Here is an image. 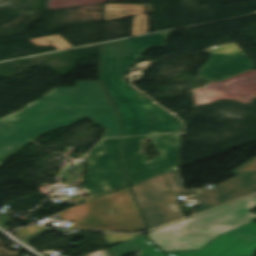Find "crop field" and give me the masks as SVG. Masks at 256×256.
I'll return each instance as SVG.
<instances>
[{"mask_svg": "<svg viewBox=\"0 0 256 256\" xmlns=\"http://www.w3.org/2000/svg\"><path fill=\"white\" fill-rule=\"evenodd\" d=\"M229 174L236 177L204 191L198 197L196 214L256 192V157Z\"/></svg>", "mask_w": 256, "mask_h": 256, "instance_id": "crop-field-8", "label": "crop field"}, {"mask_svg": "<svg viewBox=\"0 0 256 256\" xmlns=\"http://www.w3.org/2000/svg\"><path fill=\"white\" fill-rule=\"evenodd\" d=\"M169 32L104 45L102 82L122 116L123 136L181 132L178 120L124 80L132 64L151 47L165 46Z\"/></svg>", "mask_w": 256, "mask_h": 256, "instance_id": "crop-field-2", "label": "crop field"}, {"mask_svg": "<svg viewBox=\"0 0 256 256\" xmlns=\"http://www.w3.org/2000/svg\"><path fill=\"white\" fill-rule=\"evenodd\" d=\"M29 41H31L32 43H34L38 46L53 47L57 50L73 47L64 38H62L60 35L45 37V38H39V39H33V40H29Z\"/></svg>", "mask_w": 256, "mask_h": 256, "instance_id": "crop-field-13", "label": "crop field"}, {"mask_svg": "<svg viewBox=\"0 0 256 256\" xmlns=\"http://www.w3.org/2000/svg\"><path fill=\"white\" fill-rule=\"evenodd\" d=\"M144 7L145 5L106 4L104 21L152 13L150 5L149 12H144Z\"/></svg>", "mask_w": 256, "mask_h": 256, "instance_id": "crop-field-11", "label": "crop field"}, {"mask_svg": "<svg viewBox=\"0 0 256 256\" xmlns=\"http://www.w3.org/2000/svg\"><path fill=\"white\" fill-rule=\"evenodd\" d=\"M74 222L70 228L136 232L147 229L129 188L57 213Z\"/></svg>", "mask_w": 256, "mask_h": 256, "instance_id": "crop-field-4", "label": "crop field"}, {"mask_svg": "<svg viewBox=\"0 0 256 256\" xmlns=\"http://www.w3.org/2000/svg\"><path fill=\"white\" fill-rule=\"evenodd\" d=\"M131 187L149 229L185 217L176 196L196 194L185 191L179 169Z\"/></svg>", "mask_w": 256, "mask_h": 256, "instance_id": "crop-field-5", "label": "crop field"}, {"mask_svg": "<svg viewBox=\"0 0 256 256\" xmlns=\"http://www.w3.org/2000/svg\"><path fill=\"white\" fill-rule=\"evenodd\" d=\"M212 55L201 68L200 77L220 82L256 68L252 61L234 43L208 50Z\"/></svg>", "mask_w": 256, "mask_h": 256, "instance_id": "crop-field-9", "label": "crop field"}, {"mask_svg": "<svg viewBox=\"0 0 256 256\" xmlns=\"http://www.w3.org/2000/svg\"><path fill=\"white\" fill-rule=\"evenodd\" d=\"M115 111L100 82H77L76 88H55L28 108L19 122L0 124V160L51 129L87 117L106 128L102 138L120 136Z\"/></svg>", "mask_w": 256, "mask_h": 256, "instance_id": "crop-field-1", "label": "crop field"}, {"mask_svg": "<svg viewBox=\"0 0 256 256\" xmlns=\"http://www.w3.org/2000/svg\"><path fill=\"white\" fill-rule=\"evenodd\" d=\"M51 230H54V229H51ZM51 230L46 227H29L27 229L20 228L16 230V233H18L17 237L21 238L22 241H25L26 243H28L29 241L32 240V238L35 235L42 234L45 231H51Z\"/></svg>", "mask_w": 256, "mask_h": 256, "instance_id": "crop-field-14", "label": "crop field"}, {"mask_svg": "<svg viewBox=\"0 0 256 256\" xmlns=\"http://www.w3.org/2000/svg\"><path fill=\"white\" fill-rule=\"evenodd\" d=\"M256 194L149 233L164 251L199 250L218 235L231 236L256 219Z\"/></svg>", "mask_w": 256, "mask_h": 256, "instance_id": "crop-field-3", "label": "crop field"}, {"mask_svg": "<svg viewBox=\"0 0 256 256\" xmlns=\"http://www.w3.org/2000/svg\"><path fill=\"white\" fill-rule=\"evenodd\" d=\"M170 256H255L256 223L252 222L232 237L220 235L199 251L167 252Z\"/></svg>", "mask_w": 256, "mask_h": 256, "instance_id": "crop-field-10", "label": "crop field"}, {"mask_svg": "<svg viewBox=\"0 0 256 256\" xmlns=\"http://www.w3.org/2000/svg\"><path fill=\"white\" fill-rule=\"evenodd\" d=\"M86 157L89 163L84 184L90 196L72 200L76 205L128 186L121 163L120 138L102 140Z\"/></svg>", "mask_w": 256, "mask_h": 256, "instance_id": "crop-field-6", "label": "crop field"}, {"mask_svg": "<svg viewBox=\"0 0 256 256\" xmlns=\"http://www.w3.org/2000/svg\"><path fill=\"white\" fill-rule=\"evenodd\" d=\"M112 1H116V0H112Z\"/></svg>", "mask_w": 256, "mask_h": 256, "instance_id": "crop-field-19", "label": "crop field"}, {"mask_svg": "<svg viewBox=\"0 0 256 256\" xmlns=\"http://www.w3.org/2000/svg\"><path fill=\"white\" fill-rule=\"evenodd\" d=\"M141 139L154 143L161 155L151 161L140 154ZM180 134L123 138L124 163L130 184L177 169Z\"/></svg>", "mask_w": 256, "mask_h": 256, "instance_id": "crop-field-7", "label": "crop field"}, {"mask_svg": "<svg viewBox=\"0 0 256 256\" xmlns=\"http://www.w3.org/2000/svg\"><path fill=\"white\" fill-rule=\"evenodd\" d=\"M25 249L21 248L16 250L15 252L12 253H7L6 251H4L3 249H0V256H15L18 254V252L20 251H24Z\"/></svg>", "mask_w": 256, "mask_h": 256, "instance_id": "crop-field-18", "label": "crop field"}, {"mask_svg": "<svg viewBox=\"0 0 256 256\" xmlns=\"http://www.w3.org/2000/svg\"><path fill=\"white\" fill-rule=\"evenodd\" d=\"M148 24L149 14L134 17L132 36L148 33Z\"/></svg>", "mask_w": 256, "mask_h": 256, "instance_id": "crop-field-15", "label": "crop field"}, {"mask_svg": "<svg viewBox=\"0 0 256 256\" xmlns=\"http://www.w3.org/2000/svg\"><path fill=\"white\" fill-rule=\"evenodd\" d=\"M160 251V250H159ZM155 246H151L145 250H143L139 256H166L159 252Z\"/></svg>", "mask_w": 256, "mask_h": 256, "instance_id": "crop-field-17", "label": "crop field"}, {"mask_svg": "<svg viewBox=\"0 0 256 256\" xmlns=\"http://www.w3.org/2000/svg\"><path fill=\"white\" fill-rule=\"evenodd\" d=\"M137 235H140V234L130 235V234L106 233L105 240L109 243V245H112L120 241L135 237Z\"/></svg>", "mask_w": 256, "mask_h": 256, "instance_id": "crop-field-16", "label": "crop field"}, {"mask_svg": "<svg viewBox=\"0 0 256 256\" xmlns=\"http://www.w3.org/2000/svg\"><path fill=\"white\" fill-rule=\"evenodd\" d=\"M151 244L147 237L143 235L130 239L116 247L113 246L114 248L109 249V251L114 256H127Z\"/></svg>", "mask_w": 256, "mask_h": 256, "instance_id": "crop-field-12", "label": "crop field"}]
</instances>
